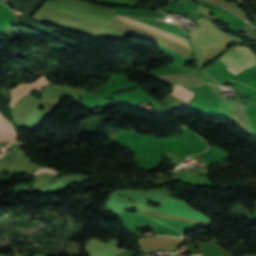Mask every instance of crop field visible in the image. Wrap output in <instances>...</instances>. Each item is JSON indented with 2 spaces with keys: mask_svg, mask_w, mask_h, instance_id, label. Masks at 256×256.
<instances>
[{
  "mask_svg": "<svg viewBox=\"0 0 256 256\" xmlns=\"http://www.w3.org/2000/svg\"><path fill=\"white\" fill-rule=\"evenodd\" d=\"M150 210L170 214V215H176V216H183V217H189L193 219L208 221L205 216L201 215L200 213L193 210L191 207H189L186 203H184L181 200L170 198L167 201H165L160 208H147Z\"/></svg>",
  "mask_w": 256,
  "mask_h": 256,
  "instance_id": "crop-field-3",
  "label": "crop field"
},
{
  "mask_svg": "<svg viewBox=\"0 0 256 256\" xmlns=\"http://www.w3.org/2000/svg\"><path fill=\"white\" fill-rule=\"evenodd\" d=\"M117 18H118V19L125 20V21L130 22V23H133V24L138 25V26H140V27H143V28H145V29L151 30V31L156 32V33H158V34H161V35H163V36H166V37H168V38H170V39H173V40H175V41H177V42H179V43H181V44H183V45H185V46L188 47V44H187V42H186L185 40H183V39H181V38H179V37H177V36H175V35H172V34H170V33L164 32V31L159 30V29H157V28H155V27H152V26H150V25L140 23V22L135 21V20H133V19H131V18H128V17L117 16ZM160 21H161V20H160ZM164 22H166V21H164ZM168 23H172V22H168ZM172 24H173V23H172Z\"/></svg>",
  "mask_w": 256,
  "mask_h": 256,
  "instance_id": "crop-field-6",
  "label": "crop field"
},
{
  "mask_svg": "<svg viewBox=\"0 0 256 256\" xmlns=\"http://www.w3.org/2000/svg\"><path fill=\"white\" fill-rule=\"evenodd\" d=\"M191 256H201L200 254H195V255H191Z\"/></svg>",
  "mask_w": 256,
  "mask_h": 256,
  "instance_id": "crop-field-9",
  "label": "crop field"
},
{
  "mask_svg": "<svg viewBox=\"0 0 256 256\" xmlns=\"http://www.w3.org/2000/svg\"><path fill=\"white\" fill-rule=\"evenodd\" d=\"M16 256H22L21 254H16Z\"/></svg>",
  "mask_w": 256,
  "mask_h": 256,
  "instance_id": "crop-field-10",
  "label": "crop field"
},
{
  "mask_svg": "<svg viewBox=\"0 0 256 256\" xmlns=\"http://www.w3.org/2000/svg\"><path fill=\"white\" fill-rule=\"evenodd\" d=\"M45 79L46 78L43 76L30 84H21V85L17 86L16 88H12L11 102L9 105L13 107V105L19 100V98L21 96L27 94L30 90L41 89L43 86H45L47 83H49Z\"/></svg>",
  "mask_w": 256,
  "mask_h": 256,
  "instance_id": "crop-field-5",
  "label": "crop field"
},
{
  "mask_svg": "<svg viewBox=\"0 0 256 256\" xmlns=\"http://www.w3.org/2000/svg\"><path fill=\"white\" fill-rule=\"evenodd\" d=\"M237 49H239L243 54H245L250 60H252L255 64V54L252 53L248 48L245 47H239L235 46ZM235 47L231 48L230 50L226 51L231 56H233L235 59H237L239 62H241L243 65H245L247 68L254 65L252 61H250L246 56H244L239 50H237ZM224 52V54L219 57L221 60H223L227 65H229L233 70H235L237 73L241 72L242 70L246 69L245 66H243L241 63H239L237 60H235L233 57H231L229 54ZM231 68H229L232 72L237 74L235 71H233Z\"/></svg>",
  "mask_w": 256,
  "mask_h": 256,
  "instance_id": "crop-field-2",
  "label": "crop field"
},
{
  "mask_svg": "<svg viewBox=\"0 0 256 256\" xmlns=\"http://www.w3.org/2000/svg\"><path fill=\"white\" fill-rule=\"evenodd\" d=\"M17 138L12 126L4 120L0 115V140H10V144L14 143Z\"/></svg>",
  "mask_w": 256,
  "mask_h": 256,
  "instance_id": "crop-field-7",
  "label": "crop field"
},
{
  "mask_svg": "<svg viewBox=\"0 0 256 256\" xmlns=\"http://www.w3.org/2000/svg\"><path fill=\"white\" fill-rule=\"evenodd\" d=\"M201 29H203L205 32L213 36L215 39H217L220 44L231 42L232 40L228 37V35L222 33L219 31L213 24L208 22L207 20L201 18L198 21H196ZM194 28L192 30H189L192 39L194 43H196L198 46L202 48V50L219 45L218 41L212 38L210 35L202 31L200 28Z\"/></svg>",
  "mask_w": 256,
  "mask_h": 256,
  "instance_id": "crop-field-1",
  "label": "crop field"
},
{
  "mask_svg": "<svg viewBox=\"0 0 256 256\" xmlns=\"http://www.w3.org/2000/svg\"><path fill=\"white\" fill-rule=\"evenodd\" d=\"M118 241H109L107 244L98 243V240L87 242L86 252L91 256H111L121 249H116Z\"/></svg>",
  "mask_w": 256,
  "mask_h": 256,
  "instance_id": "crop-field-4",
  "label": "crop field"
},
{
  "mask_svg": "<svg viewBox=\"0 0 256 256\" xmlns=\"http://www.w3.org/2000/svg\"><path fill=\"white\" fill-rule=\"evenodd\" d=\"M172 94L188 101L191 97H192V93L187 91V90H184L178 86H175L174 90L172 91Z\"/></svg>",
  "mask_w": 256,
  "mask_h": 256,
  "instance_id": "crop-field-8",
  "label": "crop field"
}]
</instances>
